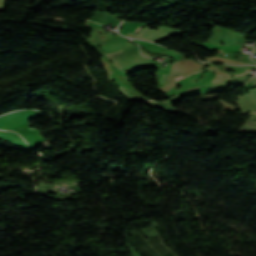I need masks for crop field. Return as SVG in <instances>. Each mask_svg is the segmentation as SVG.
I'll use <instances>...</instances> for the list:
<instances>
[{
    "instance_id": "8a807250",
    "label": "crop field",
    "mask_w": 256,
    "mask_h": 256,
    "mask_svg": "<svg viewBox=\"0 0 256 256\" xmlns=\"http://www.w3.org/2000/svg\"><path fill=\"white\" fill-rule=\"evenodd\" d=\"M157 28H159V30L155 31L145 27L134 37L149 39L157 42V41L169 38L173 35H177L180 32L179 30H175L168 27H157Z\"/></svg>"
},
{
    "instance_id": "ac0d7876",
    "label": "crop field",
    "mask_w": 256,
    "mask_h": 256,
    "mask_svg": "<svg viewBox=\"0 0 256 256\" xmlns=\"http://www.w3.org/2000/svg\"><path fill=\"white\" fill-rule=\"evenodd\" d=\"M141 25H143V24H137L132 30H131V32H129L128 34H127V36H129V37H133L134 36V32H135V30L138 28V27H140ZM141 28V27H140ZM140 28H138L137 29V31L140 29ZM136 31V32H137Z\"/></svg>"
},
{
    "instance_id": "34b2d1b8",
    "label": "crop field",
    "mask_w": 256,
    "mask_h": 256,
    "mask_svg": "<svg viewBox=\"0 0 256 256\" xmlns=\"http://www.w3.org/2000/svg\"><path fill=\"white\" fill-rule=\"evenodd\" d=\"M164 78H165V76L163 75L161 78V86H163L162 83H163Z\"/></svg>"
},
{
    "instance_id": "412701ff",
    "label": "crop field",
    "mask_w": 256,
    "mask_h": 256,
    "mask_svg": "<svg viewBox=\"0 0 256 256\" xmlns=\"http://www.w3.org/2000/svg\"><path fill=\"white\" fill-rule=\"evenodd\" d=\"M182 77H184V76H183V75H181V76H179V77L175 78V80H178V79H180V78H182Z\"/></svg>"
}]
</instances>
